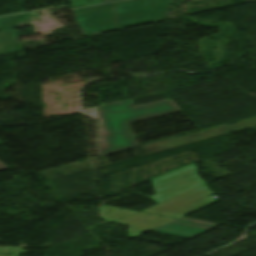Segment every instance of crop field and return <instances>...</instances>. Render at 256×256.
Wrapping results in <instances>:
<instances>
[{"mask_svg":"<svg viewBox=\"0 0 256 256\" xmlns=\"http://www.w3.org/2000/svg\"><path fill=\"white\" fill-rule=\"evenodd\" d=\"M0 256H18V255H0Z\"/></svg>","mask_w":256,"mask_h":256,"instance_id":"12","label":"crop field"},{"mask_svg":"<svg viewBox=\"0 0 256 256\" xmlns=\"http://www.w3.org/2000/svg\"><path fill=\"white\" fill-rule=\"evenodd\" d=\"M0 253H11V248H0Z\"/></svg>","mask_w":256,"mask_h":256,"instance_id":"10","label":"crop field"},{"mask_svg":"<svg viewBox=\"0 0 256 256\" xmlns=\"http://www.w3.org/2000/svg\"><path fill=\"white\" fill-rule=\"evenodd\" d=\"M175 219L176 218L138 212L134 215L119 220L116 223L130 226V237H136L168 224Z\"/></svg>","mask_w":256,"mask_h":256,"instance_id":"6","label":"crop field"},{"mask_svg":"<svg viewBox=\"0 0 256 256\" xmlns=\"http://www.w3.org/2000/svg\"><path fill=\"white\" fill-rule=\"evenodd\" d=\"M152 181L157 195L150 198L154 199L157 203L204 184L197 175L195 164L158 177Z\"/></svg>","mask_w":256,"mask_h":256,"instance_id":"4","label":"crop field"},{"mask_svg":"<svg viewBox=\"0 0 256 256\" xmlns=\"http://www.w3.org/2000/svg\"><path fill=\"white\" fill-rule=\"evenodd\" d=\"M104 1H108V0H104Z\"/></svg>","mask_w":256,"mask_h":256,"instance_id":"14","label":"crop field"},{"mask_svg":"<svg viewBox=\"0 0 256 256\" xmlns=\"http://www.w3.org/2000/svg\"><path fill=\"white\" fill-rule=\"evenodd\" d=\"M106 126V136L101 155L137 147L127 122L177 111L170 101L132 107L130 101L97 107Z\"/></svg>","mask_w":256,"mask_h":256,"instance_id":"2","label":"crop field"},{"mask_svg":"<svg viewBox=\"0 0 256 256\" xmlns=\"http://www.w3.org/2000/svg\"><path fill=\"white\" fill-rule=\"evenodd\" d=\"M172 0H125L75 9L85 37L166 18Z\"/></svg>","mask_w":256,"mask_h":256,"instance_id":"1","label":"crop field"},{"mask_svg":"<svg viewBox=\"0 0 256 256\" xmlns=\"http://www.w3.org/2000/svg\"><path fill=\"white\" fill-rule=\"evenodd\" d=\"M3 169H7V167L0 163V170H3Z\"/></svg>","mask_w":256,"mask_h":256,"instance_id":"11","label":"crop field"},{"mask_svg":"<svg viewBox=\"0 0 256 256\" xmlns=\"http://www.w3.org/2000/svg\"><path fill=\"white\" fill-rule=\"evenodd\" d=\"M18 19L19 15L0 18V30L14 28Z\"/></svg>","mask_w":256,"mask_h":256,"instance_id":"8","label":"crop field"},{"mask_svg":"<svg viewBox=\"0 0 256 256\" xmlns=\"http://www.w3.org/2000/svg\"><path fill=\"white\" fill-rule=\"evenodd\" d=\"M13 254H25L23 248H13Z\"/></svg>","mask_w":256,"mask_h":256,"instance_id":"9","label":"crop field"},{"mask_svg":"<svg viewBox=\"0 0 256 256\" xmlns=\"http://www.w3.org/2000/svg\"><path fill=\"white\" fill-rule=\"evenodd\" d=\"M219 225L220 224L183 218L168 225H165L159 229H156L153 232L192 239Z\"/></svg>","mask_w":256,"mask_h":256,"instance_id":"5","label":"crop field"},{"mask_svg":"<svg viewBox=\"0 0 256 256\" xmlns=\"http://www.w3.org/2000/svg\"><path fill=\"white\" fill-rule=\"evenodd\" d=\"M136 212L137 211L101 205V215L111 221H117Z\"/></svg>","mask_w":256,"mask_h":256,"instance_id":"7","label":"crop field"},{"mask_svg":"<svg viewBox=\"0 0 256 256\" xmlns=\"http://www.w3.org/2000/svg\"><path fill=\"white\" fill-rule=\"evenodd\" d=\"M250 1H255V0H250Z\"/></svg>","mask_w":256,"mask_h":256,"instance_id":"13","label":"crop field"},{"mask_svg":"<svg viewBox=\"0 0 256 256\" xmlns=\"http://www.w3.org/2000/svg\"><path fill=\"white\" fill-rule=\"evenodd\" d=\"M206 185H202L179 196L156 204L143 212L181 218L216 201Z\"/></svg>","mask_w":256,"mask_h":256,"instance_id":"3","label":"crop field"}]
</instances>
